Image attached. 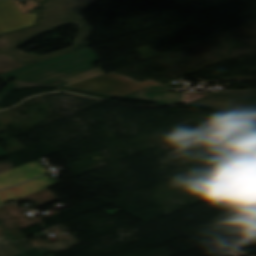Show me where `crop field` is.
I'll return each instance as SVG.
<instances>
[{"label":"crop field","instance_id":"21","mask_svg":"<svg viewBox=\"0 0 256 256\" xmlns=\"http://www.w3.org/2000/svg\"><path fill=\"white\" fill-rule=\"evenodd\" d=\"M6 154L7 153L0 148V157L3 156V155H6Z\"/></svg>","mask_w":256,"mask_h":256},{"label":"crop field","instance_id":"23","mask_svg":"<svg viewBox=\"0 0 256 256\" xmlns=\"http://www.w3.org/2000/svg\"><path fill=\"white\" fill-rule=\"evenodd\" d=\"M34 1H36V2H38V3L41 4V2H42L43 0H34Z\"/></svg>","mask_w":256,"mask_h":256},{"label":"crop field","instance_id":"19","mask_svg":"<svg viewBox=\"0 0 256 256\" xmlns=\"http://www.w3.org/2000/svg\"><path fill=\"white\" fill-rule=\"evenodd\" d=\"M11 241L12 240L8 235L0 237V245L6 244V243L11 242Z\"/></svg>","mask_w":256,"mask_h":256},{"label":"crop field","instance_id":"22","mask_svg":"<svg viewBox=\"0 0 256 256\" xmlns=\"http://www.w3.org/2000/svg\"><path fill=\"white\" fill-rule=\"evenodd\" d=\"M87 2H88V4L90 5V4H92L94 1H96V0H86Z\"/></svg>","mask_w":256,"mask_h":256},{"label":"crop field","instance_id":"11","mask_svg":"<svg viewBox=\"0 0 256 256\" xmlns=\"http://www.w3.org/2000/svg\"><path fill=\"white\" fill-rule=\"evenodd\" d=\"M25 200H30L34 203L25 206L27 209L31 210L40 206H44L47 204H50L54 201L59 200L58 197H56L53 193H51L49 190L45 189L40 192L34 193L32 195L26 196L24 198H21L19 200L13 201L15 204H18L20 202H23Z\"/></svg>","mask_w":256,"mask_h":256},{"label":"crop field","instance_id":"1","mask_svg":"<svg viewBox=\"0 0 256 256\" xmlns=\"http://www.w3.org/2000/svg\"><path fill=\"white\" fill-rule=\"evenodd\" d=\"M87 7L89 5L85 0H46L42 4L37 25L5 34L10 47L0 48V53L29 65L89 46L86 40L92 27H88L79 15ZM72 23L80 25V29L73 41L74 46L72 47L44 56H37L32 52L24 55L20 53L21 51L15 49L42 33Z\"/></svg>","mask_w":256,"mask_h":256},{"label":"crop field","instance_id":"16","mask_svg":"<svg viewBox=\"0 0 256 256\" xmlns=\"http://www.w3.org/2000/svg\"><path fill=\"white\" fill-rule=\"evenodd\" d=\"M51 252L50 250L40 246V247H37V248H34L32 250H29V251H26L25 254L27 256H42L46 253H49Z\"/></svg>","mask_w":256,"mask_h":256},{"label":"crop field","instance_id":"12","mask_svg":"<svg viewBox=\"0 0 256 256\" xmlns=\"http://www.w3.org/2000/svg\"><path fill=\"white\" fill-rule=\"evenodd\" d=\"M9 46L5 35H0V47ZM26 66L16 60H13L5 55L0 54V74Z\"/></svg>","mask_w":256,"mask_h":256},{"label":"crop field","instance_id":"7","mask_svg":"<svg viewBox=\"0 0 256 256\" xmlns=\"http://www.w3.org/2000/svg\"><path fill=\"white\" fill-rule=\"evenodd\" d=\"M37 161L19 166L15 169L0 174V189L10 187L24 180L47 173Z\"/></svg>","mask_w":256,"mask_h":256},{"label":"crop field","instance_id":"13","mask_svg":"<svg viewBox=\"0 0 256 256\" xmlns=\"http://www.w3.org/2000/svg\"><path fill=\"white\" fill-rule=\"evenodd\" d=\"M34 86L60 88V87L51 86V85L31 83L23 80H14L0 91V101H2L6 96H8L14 89L28 88V87H34Z\"/></svg>","mask_w":256,"mask_h":256},{"label":"crop field","instance_id":"10","mask_svg":"<svg viewBox=\"0 0 256 256\" xmlns=\"http://www.w3.org/2000/svg\"><path fill=\"white\" fill-rule=\"evenodd\" d=\"M58 241L54 243H47L43 241L42 239H34V240H19L17 241L18 244H20L24 251L32 249L34 247L43 245L49 249H51L53 252L61 251L67 249L69 246L78 243L71 235L66 237L57 238Z\"/></svg>","mask_w":256,"mask_h":256},{"label":"crop field","instance_id":"24","mask_svg":"<svg viewBox=\"0 0 256 256\" xmlns=\"http://www.w3.org/2000/svg\"><path fill=\"white\" fill-rule=\"evenodd\" d=\"M15 256H23V255H22V253H20V254H17V255H15Z\"/></svg>","mask_w":256,"mask_h":256},{"label":"crop field","instance_id":"25","mask_svg":"<svg viewBox=\"0 0 256 256\" xmlns=\"http://www.w3.org/2000/svg\"><path fill=\"white\" fill-rule=\"evenodd\" d=\"M3 204L2 201L0 200V205Z\"/></svg>","mask_w":256,"mask_h":256},{"label":"crop field","instance_id":"3","mask_svg":"<svg viewBox=\"0 0 256 256\" xmlns=\"http://www.w3.org/2000/svg\"><path fill=\"white\" fill-rule=\"evenodd\" d=\"M188 105L205 107L225 113L243 109L250 115L256 116V90L231 91L213 93Z\"/></svg>","mask_w":256,"mask_h":256},{"label":"crop field","instance_id":"17","mask_svg":"<svg viewBox=\"0 0 256 256\" xmlns=\"http://www.w3.org/2000/svg\"><path fill=\"white\" fill-rule=\"evenodd\" d=\"M46 231L48 233L53 232L54 234L58 235V234L66 232V231H69V229L64 227V226H62V225H60V224H58V225H56L54 227L46 229Z\"/></svg>","mask_w":256,"mask_h":256},{"label":"crop field","instance_id":"4","mask_svg":"<svg viewBox=\"0 0 256 256\" xmlns=\"http://www.w3.org/2000/svg\"><path fill=\"white\" fill-rule=\"evenodd\" d=\"M154 84H158V82L147 80L138 83L114 72H110L103 76L69 86L68 88L119 97Z\"/></svg>","mask_w":256,"mask_h":256},{"label":"crop field","instance_id":"18","mask_svg":"<svg viewBox=\"0 0 256 256\" xmlns=\"http://www.w3.org/2000/svg\"><path fill=\"white\" fill-rule=\"evenodd\" d=\"M12 165L11 163L9 162V160L7 161H4V162H0V173L1 172H4V171H7L9 169H12Z\"/></svg>","mask_w":256,"mask_h":256},{"label":"crop field","instance_id":"14","mask_svg":"<svg viewBox=\"0 0 256 256\" xmlns=\"http://www.w3.org/2000/svg\"><path fill=\"white\" fill-rule=\"evenodd\" d=\"M100 75H103V72L101 71L100 67L94 68L89 71L74 75V76L66 78V79H63L64 81L70 83L63 87H67L69 85H72V84H75V83H78V82H81V81H84L87 79H91V78H94V77H97Z\"/></svg>","mask_w":256,"mask_h":256},{"label":"crop field","instance_id":"15","mask_svg":"<svg viewBox=\"0 0 256 256\" xmlns=\"http://www.w3.org/2000/svg\"><path fill=\"white\" fill-rule=\"evenodd\" d=\"M20 252L19 247L13 243L0 247V256H12Z\"/></svg>","mask_w":256,"mask_h":256},{"label":"crop field","instance_id":"8","mask_svg":"<svg viewBox=\"0 0 256 256\" xmlns=\"http://www.w3.org/2000/svg\"><path fill=\"white\" fill-rule=\"evenodd\" d=\"M56 184H58L56 179L51 180L48 177L43 176L36 180L29 181L23 185L16 186L14 188L7 189L5 191H1L0 199L3 201V203L9 202Z\"/></svg>","mask_w":256,"mask_h":256},{"label":"crop field","instance_id":"2","mask_svg":"<svg viewBox=\"0 0 256 256\" xmlns=\"http://www.w3.org/2000/svg\"><path fill=\"white\" fill-rule=\"evenodd\" d=\"M99 59L88 47L66 55L32 64L0 76L50 84L71 75L94 68Z\"/></svg>","mask_w":256,"mask_h":256},{"label":"crop field","instance_id":"5","mask_svg":"<svg viewBox=\"0 0 256 256\" xmlns=\"http://www.w3.org/2000/svg\"><path fill=\"white\" fill-rule=\"evenodd\" d=\"M37 14H22L13 0H0V33L34 25Z\"/></svg>","mask_w":256,"mask_h":256},{"label":"crop field","instance_id":"9","mask_svg":"<svg viewBox=\"0 0 256 256\" xmlns=\"http://www.w3.org/2000/svg\"><path fill=\"white\" fill-rule=\"evenodd\" d=\"M170 87L162 84L154 85L152 87L146 88L144 90H155V91H169ZM183 93H173V92H152V91H139L137 93L121 97L120 99H135L142 101L154 102L159 105L175 103L180 100Z\"/></svg>","mask_w":256,"mask_h":256},{"label":"crop field","instance_id":"20","mask_svg":"<svg viewBox=\"0 0 256 256\" xmlns=\"http://www.w3.org/2000/svg\"><path fill=\"white\" fill-rule=\"evenodd\" d=\"M6 231L0 226V236L6 235Z\"/></svg>","mask_w":256,"mask_h":256},{"label":"crop field","instance_id":"6","mask_svg":"<svg viewBox=\"0 0 256 256\" xmlns=\"http://www.w3.org/2000/svg\"><path fill=\"white\" fill-rule=\"evenodd\" d=\"M23 211H25V209L19 208L13 204H7L0 207V224L8 231V233L33 225L41 221L44 217L58 212L55 211L53 213L34 218L29 217Z\"/></svg>","mask_w":256,"mask_h":256}]
</instances>
